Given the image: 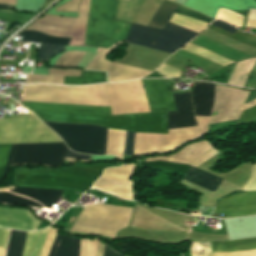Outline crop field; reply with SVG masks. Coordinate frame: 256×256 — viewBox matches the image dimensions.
<instances>
[{
    "label": "crop field",
    "mask_w": 256,
    "mask_h": 256,
    "mask_svg": "<svg viewBox=\"0 0 256 256\" xmlns=\"http://www.w3.org/2000/svg\"><path fill=\"white\" fill-rule=\"evenodd\" d=\"M95 244H96V239L94 241H89L88 256H95ZM103 248H104V243L97 240L96 256H103Z\"/></svg>",
    "instance_id": "crop-field-40"
},
{
    "label": "crop field",
    "mask_w": 256,
    "mask_h": 256,
    "mask_svg": "<svg viewBox=\"0 0 256 256\" xmlns=\"http://www.w3.org/2000/svg\"><path fill=\"white\" fill-rule=\"evenodd\" d=\"M201 133L207 132L209 117H195ZM197 127L169 130V135L161 134L159 152L174 150L180 144L200 136Z\"/></svg>",
    "instance_id": "crop-field-14"
},
{
    "label": "crop field",
    "mask_w": 256,
    "mask_h": 256,
    "mask_svg": "<svg viewBox=\"0 0 256 256\" xmlns=\"http://www.w3.org/2000/svg\"><path fill=\"white\" fill-rule=\"evenodd\" d=\"M209 29L214 30L218 33H221L223 35H226L228 37H231L233 39H236L240 42H243L245 44H248V45L253 46V47L256 48V36H252V35H249V34H246V33H243V32H239V31H237L234 35H232L230 33L222 31L218 28H215L213 26L209 27Z\"/></svg>",
    "instance_id": "crop-field-35"
},
{
    "label": "crop field",
    "mask_w": 256,
    "mask_h": 256,
    "mask_svg": "<svg viewBox=\"0 0 256 256\" xmlns=\"http://www.w3.org/2000/svg\"><path fill=\"white\" fill-rule=\"evenodd\" d=\"M254 105H256V99L253 100V101H251V102H249V103H247V104H245V105L243 106V109H242V110H244V109H246V108H250V107H252V106H254Z\"/></svg>",
    "instance_id": "crop-field-50"
},
{
    "label": "crop field",
    "mask_w": 256,
    "mask_h": 256,
    "mask_svg": "<svg viewBox=\"0 0 256 256\" xmlns=\"http://www.w3.org/2000/svg\"><path fill=\"white\" fill-rule=\"evenodd\" d=\"M120 0H91L85 46L111 48L125 40L131 23L116 19Z\"/></svg>",
    "instance_id": "crop-field-2"
},
{
    "label": "crop field",
    "mask_w": 256,
    "mask_h": 256,
    "mask_svg": "<svg viewBox=\"0 0 256 256\" xmlns=\"http://www.w3.org/2000/svg\"><path fill=\"white\" fill-rule=\"evenodd\" d=\"M26 101L99 105L97 85L67 87L55 85H30L25 88Z\"/></svg>",
    "instance_id": "crop-field-8"
},
{
    "label": "crop field",
    "mask_w": 256,
    "mask_h": 256,
    "mask_svg": "<svg viewBox=\"0 0 256 256\" xmlns=\"http://www.w3.org/2000/svg\"><path fill=\"white\" fill-rule=\"evenodd\" d=\"M226 213V218L256 214V192H240L218 201L214 214Z\"/></svg>",
    "instance_id": "crop-field-13"
},
{
    "label": "crop field",
    "mask_w": 256,
    "mask_h": 256,
    "mask_svg": "<svg viewBox=\"0 0 256 256\" xmlns=\"http://www.w3.org/2000/svg\"><path fill=\"white\" fill-rule=\"evenodd\" d=\"M214 100V84L197 82L192 88V101L195 115L210 116Z\"/></svg>",
    "instance_id": "crop-field-19"
},
{
    "label": "crop field",
    "mask_w": 256,
    "mask_h": 256,
    "mask_svg": "<svg viewBox=\"0 0 256 256\" xmlns=\"http://www.w3.org/2000/svg\"><path fill=\"white\" fill-rule=\"evenodd\" d=\"M12 192L29 202L35 207L50 208L60 198L63 191L45 190V189H32L13 187ZM0 202L14 205L31 206L10 191H0Z\"/></svg>",
    "instance_id": "crop-field-12"
},
{
    "label": "crop field",
    "mask_w": 256,
    "mask_h": 256,
    "mask_svg": "<svg viewBox=\"0 0 256 256\" xmlns=\"http://www.w3.org/2000/svg\"><path fill=\"white\" fill-rule=\"evenodd\" d=\"M62 142L34 114L0 119V144Z\"/></svg>",
    "instance_id": "crop-field-5"
},
{
    "label": "crop field",
    "mask_w": 256,
    "mask_h": 256,
    "mask_svg": "<svg viewBox=\"0 0 256 256\" xmlns=\"http://www.w3.org/2000/svg\"><path fill=\"white\" fill-rule=\"evenodd\" d=\"M48 229L38 232H27L22 256H40Z\"/></svg>",
    "instance_id": "crop-field-22"
},
{
    "label": "crop field",
    "mask_w": 256,
    "mask_h": 256,
    "mask_svg": "<svg viewBox=\"0 0 256 256\" xmlns=\"http://www.w3.org/2000/svg\"><path fill=\"white\" fill-rule=\"evenodd\" d=\"M75 152L104 155L107 128L90 125L44 122Z\"/></svg>",
    "instance_id": "crop-field-6"
},
{
    "label": "crop field",
    "mask_w": 256,
    "mask_h": 256,
    "mask_svg": "<svg viewBox=\"0 0 256 256\" xmlns=\"http://www.w3.org/2000/svg\"><path fill=\"white\" fill-rule=\"evenodd\" d=\"M26 232L11 230L6 256H21Z\"/></svg>",
    "instance_id": "crop-field-31"
},
{
    "label": "crop field",
    "mask_w": 256,
    "mask_h": 256,
    "mask_svg": "<svg viewBox=\"0 0 256 256\" xmlns=\"http://www.w3.org/2000/svg\"><path fill=\"white\" fill-rule=\"evenodd\" d=\"M108 167H111V166H107V165H94L91 167L75 166L71 169H67L64 171L19 170L18 174L61 177V178H70V179H76V180L95 182L99 178V176L102 174V171ZM70 179L18 175L15 186L57 189V190H71V191H78V192L84 193L86 190L90 189L93 184L91 182H83V181H76V180H70Z\"/></svg>",
    "instance_id": "crop-field-3"
},
{
    "label": "crop field",
    "mask_w": 256,
    "mask_h": 256,
    "mask_svg": "<svg viewBox=\"0 0 256 256\" xmlns=\"http://www.w3.org/2000/svg\"><path fill=\"white\" fill-rule=\"evenodd\" d=\"M89 158H90V156L74 153L68 149L65 160H85V159H89Z\"/></svg>",
    "instance_id": "crop-field-45"
},
{
    "label": "crop field",
    "mask_w": 256,
    "mask_h": 256,
    "mask_svg": "<svg viewBox=\"0 0 256 256\" xmlns=\"http://www.w3.org/2000/svg\"><path fill=\"white\" fill-rule=\"evenodd\" d=\"M80 70H59V69H49V77L40 75H31L29 77L28 83H58L63 84L64 76H80Z\"/></svg>",
    "instance_id": "crop-field-25"
},
{
    "label": "crop field",
    "mask_w": 256,
    "mask_h": 256,
    "mask_svg": "<svg viewBox=\"0 0 256 256\" xmlns=\"http://www.w3.org/2000/svg\"><path fill=\"white\" fill-rule=\"evenodd\" d=\"M171 22L176 23L185 28H188L197 33L201 32L208 25V23L200 22V21L192 19L190 17L176 15V14L173 15Z\"/></svg>",
    "instance_id": "crop-field-32"
},
{
    "label": "crop field",
    "mask_w": 256,
    "mask_h": 256,
    "mask_svg": "<svg viewBox=\"0 0 256 256\" xmlns=\"http://www.w3.org/2000/svg\"><path fill=\"white\" fill-rule=\"evenodd\" d=\"M113 115L150 112L141 80L108 84Z\"/></svg>",
    "instance_id": "crop-field-9"
},
{
    "label": "crop field",
    "mask_w": 256,
    "mask_h": 256,
    "mask_svg": "<svg viewBox=\"0 0 256 256\" xmlns=\"http://www.w3.org/2000/svg\"><path fill=\"white\" fill-rule=\"evenodd\" d=\"M32 110L112 115L110 108L23 102Z\"/></svg>",
    "instance_id": "crop-field-20"
},
{
    "label": "crop field",
    "mask_w": 256,
    "mask_h": 256,
    "mask_svg": "<svg viewBox=\"0 0 256 256\" xmlns=\"http://www.w3.org/2000/svg\"><path fill=\"white\" fill-rule=\"evenodd\" d=\"M216 18L224 19L238 27H241L244 17L226 9H219Z\"/></svg>",
    "instance_id": "crop-field-37"
},
{
    "label": "crop field",
    "mask_w": 256,
    "mask_h": 256,
    "mask_svg": "<svg viewBox=\"0 0 256 256\" xmlns=\"http://www.w3.org/2000/svg\"><path fill=\"white\" fill-rule=\"evenodd\" d=\"M126 132L109 129L106 154H112L122 159Z\"/></svg>",
    "instance_id": "crop-field-27"
},
{
    "label": "crop field",
    "mask_w": 256,
    "mask_h": 256,
    "mask_svg": "<svg viewBox=\"0 0 256 256\" xmlns=\"http://www.w3.org/2000/svg\"><path fill=\"white\" fill-rule=\"evenodd\" d=\"M106 82V73L82 71L81 77H65L64 84L81 85Z\"/></svg>",
    "instance_id": "crop-field-30"
},
{
    "label": "crop field",
    "mask_w": 256,
    "mask_h": 256,
    "mask_svg": "<svg viewBox=\"0 0 256 256\" xmlns=\"http://www.w3.org/2000/svg\"><path fill=\"white\" fill-rule=\"evenodd\" d=\"M157 77H163L162 75L158 74L156 71L153 72L151 75L145 77V78H157Z\"/></svg>",
    "instance_id": "crop-field-52"
},
{
    "label": "crop field",
    "mask_w": 256,
    "mask_h": 256,
    "mask_svg": "<svg viewBox=\"0 0 256 256\" xmlns=\"http://www.w3.org/2000/svg\"><path fill=\"white\" fill-rule=\"evenodd\" d=\"M142 166H150L155 168H164L172 171H180L187 173L188 169L190 168L189 165L171 163V162H163V161H154V162H145L141 163Z\"/></svg>",
    "instance_id": "crop-field-34"
},
{
    "label": "crop field",
    "mask_w": 256,
    "mask_h": 256,
    "mask_svg": "<svg viewBox=\"0 0 256 256\" xmlns=\"http://www.w3.org/2000/svg\"><path fill=\"white\" fill-rule=\"evenodd\" d=\"M33 16L34 15L13 14V13H7V12L0 11V20L8 21V22L23 23V22L29 20Z\"/></svg>",
    "instance_id": "crop-field-38"
},
{
    "label": "crop field",
    "mask_w": 256,
    "mask_h": 256,
    "mask_svg": "<svg viewBox=\"0 0 256 256\" xmlns=\"http://www.w3.org/2000/svg\"><path fill=\"white\" fill-rule=\"evenodd\" d=\"M255 62L256 58H251L249 60L239 62L228 84L243 87Z\"/></svg>",
    "instance_id": "crop-field-28"
},
{
    "label": "crop field",
    "mask_w": 256,
    "mask_h": 256,
    "mask_svg": "<svg viewBox=\"0 0 256 256\" xmlns=\"http://www.w3.org/2000/svg\"><path fill=\"white\" fill-rule=\"evenodd\" d=\"M216 153H218L214 148L209 150L208 152H206L205 154H203L202 156H200L199 158H197L196 160H194L193 162H191L189 165H193V166H198L199 164H201L202 162H204L205 160L209 159L210 157H212L213 155H215Z\"/></svg>",
    "instance_id": "crop-field-43"
},
{
    "label": "crop field",
    "mask_w": 256,
    "mask_h": 256,
    "mask_svg": "<svg viewBox=\"0 0 256 256\" xmlns=\"http://www.w3.org/2000/svg\"><path fill=\"white\" fill-rule=\"evenodd\" d=\"M104 256H121V255L112 252L109 248H107V247L105 246V249H104Z\"/></svg>",
    "instance_id": "crop-field-49"
},
{
    "label": "crop field",
    "mask_w": 256,
    "mask_h": 256,
    "mask_svg": "<svg viewBox=\"0 0 256 256\" xmlns=\"http://www.w3.org/2000/svg\"><path fill=\"white\" fill-rule=\"evenodd\" d=\"M85 29H86V27H77L76 28L70 45L84 46Z\"/></svg>",
    "instance_id": "crop-field-39"
},
{
    "label": "crop field",
    "mask_w": 256,
    "mask_h": 256,
    "mask_svg": "<svg viewBox=\"0 0 256 256\" xmlns=\"http://www.w3.org/2000/svg\"><path fill=\"white\" fill-rule=\"evenodd\" d=\"M219 256H256V250L236 252V253H218ZM191 256H197L195 245L192 243Z\"/></svg>",
    "instance_id": "crop-field-41"
},
{
    "label": "crop field",
    "mask_w": 256,
    "mask_h": 256,
    "mask_svg": "<svg viewBox=\"0 0 256 256\" xmlns=\"http://www.w3.org/2000/svg\"><path fill=\"white\" fill-rule=\"evenodd\" d=\"M176 8H177V5H174L172 3H169L165 0H163L162 4L160 5L159 9L157 10L155 16L153 17L152 21L150 22L149 27L164 30L165 26L167 25L168 21L170 20L172 14L174 13ZM175 13L191 16V17L200 19V20L208 22V23L213 21V19H211L205 15L199 14L193 10L184 8L182 6H178Z\"/></svg>",
    "instance_id": "crop-field-18"
},
{
    "label": "crop field",
    "mask_w": 256,
    "mask_h": 256,
    "mask_svg": "<svg viewBox=\"0 0 256 256\" xmlns=\"http://www.w3.org/2000/svg\"><path fill=\"white\" fill-rule=\"evenodd\" d=\"M62 241L63 235H57L49 256L62 255ZM80 253V240L76 238H69L64 235L63 242V256H79Z\"/></svg>",
    "instance_id": "crop-field-21"
},
{
    "label": "crop field",
    "mask_w": 256,
    "mask_h": 256,
    "mask_svg": "<svg viewBox=\"0 0 256 256\" xmlns=\"http://www.w3.org/2000/svg\"><path fill=\"white\" fill-rule=\"evenodd\" d=\"M130 1V0H129Z\"/></svg>",
    "instance_id": "crop-field-55"
},
{
    "label": "crop field",
    "mask_w": 256,
    "mask_h": 256,
    "mask_svg": "<svg viewBox=\"0 0 256 256\" xmlns=\"http://www.w3.org/2000/svg\"><path fill=\"white\" fill-rule=\"evenodd\" d=\"M151 112L177 110L170 91L161 80H142Z\"/></svg>",
    "instance_id": "crop-field-15"
},
{
    "label": "crop field",
    "mask_w": 256,
    "mask_h": 256,
    "mask_svg": "<svg viewBox=\"0 0 256 256\" xmlns=\"http://www.w3.org/2000/svg\"><path fill=\"white\" fill-rule=\"evenodd\" d=\"M249 92L215 85V101L209 124L238 119Z\"/></svg>",
    "instance_id": "crop-field-10"
},
{
    "label": "crop field",
    "mask_w": 256,
    "mask_h": 256,
    "mask_svg": "<svg viewBox=\"0 0 256 256\" xmlns=\"http://www.w3.org/2000/svg\"><path fill=\"white\" fill-rule=\"evenodd\" d=\"M178 111L168 112L169 129L197 126L190 93L173 95Z\"/></svg>",
    "instance_id": "crop-field-16"
},
{
    "label": "crop field",
    "mask_w": 256,
    "mask_h": 256,
    "mask_svg": "<svg viewBox=\"0 0 256 256\" xmlns=\"http://www.w3.org/2000/svg\"><path fill=\"white\" fill-rule=\"evenodd\" d=\"M196 35L171 22L164 31L132 24L126 41L173 53Z\"/></svg>",
    "instance_id": "crop-field-7"
},
{
    "label": "crop field",
    "mask_w": 256,
    "mask_h": 256,
    "mask_svg": "<svg viewBox=\"0 0 256 256\" xmlns=\"http://www.w3.org/2000/svg\"><path fill=\"white\" fill-rule=\"evenodd\" d=\"M134 133L127 132L124 155H133Z\"/></svg>",
    "instance_id": "crop-field-44"
},
{
    "label": "crop field",
    "mask_w": 256,
    "mask_h": 256,
    "mask_svg": "<svg viewBox=\"0 0 256 256\" xmlns=\"http://www.w3.org/2000/svg\"><path fill=\"white\" fill-rule=\"evenodd\" d=\"M185 178L200 184L204 187H207L213 191L218 187V185L221 183L222 179L215 177L209 173H206L202 170H199L197 168H194L191 166L190 170L188 171ZM184 178V179H185Z\"/></svg>",
    "instance_id": "crop-field-26"
},
{
    "label": "crop field",
    "mask_w": 256,
    "mask_h": 256,
    "mask_svg": "<svg viewBox=\"0 0 256 256\" xmlns=\"http://www.w3.org/2000/svg\"><path fill=\"white\" fill-rule=\"evenodd\" d=\"M160 134L135 133L134 154L158 151Z\"/></svg>",
    "instance_id": "crop-field-23"
},
{
    "label": "crop field",
    "mask_w": 256,
    "mask_h": 256,
    "mask_svg": "<svg viewBox=\"0 0 256 256\" xmlns=\"http://www.w3.org/2000/svg\"><path fill=\"white\" fill-rule=\"evenodd\" d=\"M8 145H0V171ZM67 147L64 143L9 145L0 179L10 165L17 163L62 166Z\"/></svg>",
    "instance_id": "crop-field-4"
},
{
    "label": "crop field",
    "mask_w": 256,
    "mask_h": 256,
    "mask_svg": "<svg viewBox=\"0 0 256 256\" xmlns=\"http://www.w3.org/2000/svg\"><path fill=\"white\" fill-rule=\"evenodd\" d=\"M45 121L89 123L119 130L168 133L167 112L101 116L36 111Z\"/></svg>",
    "instance_id": "crop-field-1"
},
{
    "label": "crop field",
    "mask_w": 256,
    "mask_h": 256,
    "mask_svg": "<svg viewBox=\"0 0 256 256\" xmlns=\"http://www.w3.org/2000/svg\"><path fill=\"white\" fill-rule=\"evenodd\" d=\"M6 6H7V5H1V4H0V7H6Z\"/></svg>",
    "instance_id": "crop-field-53"
},
{
    "label": "crop field",
    "mask_w": 256,
    "mask_h": 256,
    "mask_svg": "<svg viewBox=\"0 0 256 256\" xmlns=\"http://www.w3.org/2000/svg\"><path fill=\"white\" fill-rule=\"evenodd\" d=\"M157 71L163 73L167 77H179L183 72L181 70L175 69V68L167 66L165 64H163L161 67H159L157 69Z\"/></svg>",
    "instance_id": "crop-field-42"
},
{
    "label": "crop field",
    "mask_w": 256,
    "mask_h": 256,
    "mask_svg": "<svg viewBox=\"0 0 256 256\" xmlns=\"http://www.w3.org/2000/svg\"><path fill=\"white\" fill-rule=\"evenodd\" d=\"M212 25H214L216 27H219V28H221V29H223L225 31H228V32H230L232 34H234L237 31V29L231 27L230 25H228L227 23L222 22V21H214L212 23Z\"/></svg>",
    "instance_id": "crop-field-46"
},
{
    "label": "crop field",
    "mask_w": 256,
    "mask_h": 256,
    "mask_svg": "<svg viewBox=\"0 0 256 256\" xmlns=\"http://www.w3.org/2000/svg\"><path fill=\"white\" fill-rule=\"evenodd\" d=\"M90 0H81L79 20L78 18H63L44 16L37 19L26 29L43 31L50 35L71 37L77 26H86Z\"/></svg>",
    "instance_id": "crop-field-11"
},
{
    "label": "crop field",
    "mask_w": 256,
    "mask_h": 256,
    "mask_svg": "<svg viewBox=\"0 0 256 256\" xmlns=\"http://www.w3.org/2000/svg\"><path fill=\"white\" fill-rule=\"evenodd\" d=\"M8 229L0 228V247H6L8 240Z\"/></svg>",
    "instance_id": "crop-field-48"
},
{
    "label": "crop field",
    "mask_w": 256,
    "mask_h": 256,
    "mask_svg": "<svg viewBox=\"0 0 256 256\" xmlns=\"http://www.w3.org/2000/svg\"><path fill=\"white\" fill-rule=\"evenodd\" d=\"M65 50L64 46L42 43L39 48L40 59L49 60L53 55Z\"/></svg>",
    "instance_id": "crop-field-36"
},
{
    "label": "crop field",
    "mask_w": 256,
    "mask_h": 256,
    "mask_svg": "<svg viewBox=\"0 0 256 256\" xmlns=\"http://www.w3.org/2000/svg\"><path fill=\"white\" fill-rule=\"evenodd\" d=\"M0 3L15 5L16 0H0Z\"/></svg>",
    "instance_id": "crop-field-51"
},
{
    "label": "crop field",
    "mask_w": 256,
    "mask_h": 256,
    "mask_svg": "<svg viewBox=\"0 0 256 256\" xmlns=\"http://www.w3.org/2000/svg\"><path fill=\"white\" fill-rule=\"evenodd\" d=\"M213 252H236L256 249V238L224 242H211Z\"/></svg>",
    "instance_id": "crop-field-24"
},
{
    "label": "crop field",
    "mask_w": 256,
    "mask_h": 256,
    "mask_svg": "<svg viewBox=\"0 0 256 256\" xmlns=\"http://www.w3.org/2000/svg\"><path fill=\"white\" fill-rule=\"evenodd\" d=\"M245 190H256V164L253 166L252 178L248 184H246Z\"/></svg>",
    "instance_id": "crop-field-47"
},
{
    "label": "crop field",
    "mask_w": 256,
    "mask_h": 256,
    "mask_svg": "<svg viewBox=\"0 0 256 256\" xmlns=\"http://www.w3.org/2000/svg\"><path fill=\"white\" fill-rule=\"evenodd\" d=\"M40 221L29 211L0 208V226L20 230H36Z\"/></svg>",
    "instance_id": "crop-field-17"
},
{
    "label": "crop field",
    "mask_w": 256,
    "mask_h": 256,
    "mask_svg": "<svg viewBox=\"0 0 256 256\" xmlns=\"http://www.w3.org/2000/svg\"><path fill=\"white\" fill-rule=\"evenodd\" d=\"M19 35L23 36L21 41L45 42V43H53V44H61V45H68L71 40L66 38L49 36L43 33L35 32V31H23Z\"/></svg>",
    "instance_id": "crop-field-29"
},
{
    "label": "crop field",
    "mask_w": 256,
    "mask_h": 256,
    "mask_svg": "<svg viewBox=\"0 0 256 256\" xmlns=\"http://www.w3.org/2000/svg\"><path fill=\"white\" fill-rule=\"evenodd\" d=\"M182 50H185V51L197 54V55L202 56V57H205V58H207L209 60H212V61H214L216 63H219V64H221L223 66H226L228 64L233 63V62H231V61H229V60H227V59H225V58H223L221 56H218L216 54L208 52V51H206V50H204L202 48H199V47H197V46H195V45H193L191 43L185 45L182 48Z\"/></svg>",
    "instance_id": "crop-field-33"
},
{
    "label": "crop field",
    "mask_w": 256,
    "mask_h": 256,
    "mask_svg": "<svg viewBox=\"0 0 256 256\" xmlns=\"http://www.w3.org/2000/svg\"><path fill=\"white\" fill-rule=\"evenodd\" d=\"M172 1H174V2H175V0H172Z\"/></svg>",
    "instance_id": "crop-field-54"
}]
</instances>
